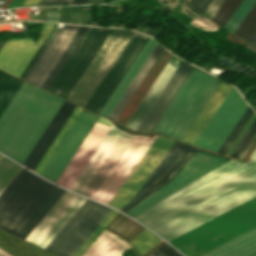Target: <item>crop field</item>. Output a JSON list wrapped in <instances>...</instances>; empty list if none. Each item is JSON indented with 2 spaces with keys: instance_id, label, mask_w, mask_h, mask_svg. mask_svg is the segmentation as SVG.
I'll return each instance as SVG.
<instances>
[{
  "instance_id": "obj_47",
  "label": "crop field",
  "mask_w": 256,
  "mask_h": 256,
  "mask_svg": "<svg viewBox=\"0 0 256 256\" xmlns=\"http://www.w3.org/2000/svg\"><path fill=\"white\" fill-rule=\"evenodd\" d=\"M4 43H5V41H0V49L3 46Z\"/></svg>"
},
{
  "instance_id": "obj_18",
  "label": "crop field",
  "mask_w": 256,
  "mask_h": 256,
  "mask_svg": "<svg viewBox=\"0 0 256 256\" xmlns=\"http://www.w3.org/2000/svg\"><path fill=\"white\" fill-rule=\"evenodd\" d=\"M76 105L65 100L55 117L52 119L34 148L31 150L25 161L23 162V166L31 169L35 168L73 109Z\"/></svg>"
},
{
  "instance_id": "obj_31",
  "label": "crop field",
  "mask_w": 256,
  "mask_h": 256,
  "mask_svg": "<svg viewBox=\"0 0 256 256\" xmlns=\"http://www.w3.org/2000/svg\"><path fill=\"white\" fill-rule=\"evenodd\" d=\"M160 241L162 240L159 237L155 236L146 229L130 244L138 251L141 256L149 249L154 247L156 244H158Z\"/></svg>"
},
{
  "instance_id": "obj_1",
  "label": "crop field",
  "mask_w": 256,
  "mask_h": 256,
  "mask_svg": "<svg viewBox=\"0 0 256 256\" xmlns=\"http://www.w3.org/2000/svg\"><path fill=\"white\" fill-rule=\"evenodd\" d=\"M256 196V151L248 163L137 219L167 241Z\"/></svg>"
},
{
  "instance_id": "obj_44",
  "label": "crop field",
  "mask_w": 256,
  "mask_h": 256,
  "mask_svg": "<svg viewBox=\"0 0 256 256\" xmlns=\"http://www.w3.org/2000/svg\"><path fill=\"white\" fill-rule=\"evenodd\" d=\"M0 256H10V255L0 249Z\"/></svg>"
},
{
  "instance_id": "obj_21",
  "label": "crop field",
  "mask_w": 256,
  "mask_h": 256,
  "mask_svg": "<svg viewBox=\"0 0 256 256\" xmlns=\"http://www.w3.org/2000/svg\"><path fill=\"white\" fill-rule=\"evenodd\" d=\"M245 163L239 162L237 160H230L228 162H226L225 164L221 165L220 167L214 169L213 171L207 173L206 175L202 176L201 178L195 180L194 182L190 183L189 185L183 187L182 189L176 191L175 193L171 194L170 196L164 198L163 200L159 201L158 203L154 204L153 206L149 207L148 209L142 211L141 213L137 214L136 216H134L133 218H138L242 165H244Z\"/></svg>"
},
{
  "instance_id": "obj_8",
  "label": "crop field",
  "mask_w": 256,
  "mask_h": 256,
  "mask_svg": "<svg viewBox=\"0 0 256 256\" xmlns=\"http://www.w3.org/2000/svg\"><path fill=\"white\" fill-rule=\"evenodd\" d=\"M110 31L111 29L89 27L48 91L66 98Z\"/></svg>"
},
{
  "instance_id": "obj_3",
  "label": "crop field",
  "mask_w": 256,
  "mask_h": 256,
  "mask_svg": "<svg viewBox=\"0 0 256 256\" xmlns=\"http://www.w3.org/2000/svg\"><path fill=\"white\" fill-rule=\"evenodd\" d=\"M63 102L23 81L0 116V151L22 164Z\"/></svg>"
},
{
  "instance_id": "obj_26",
  "label": "crop field",
  "mask_w": 256,
  "mask_h": 256,
  "mask_svg": "<svg viewBox=\"0 0 256 256\" xmlns=\"http://www.w3.org/2000/svg\"><path fill=\"white\" fill-rule=\"evenodd\" d=\"M22 83V80L0 71V115Z\"/></svg>"
},
{
  "instance_id": "obj_28",
  "label": "crop field",
  "mask_w": 256,
  "mask_h": 256,
  "mask_svg": "<svg viewBox=\"0 0 256 256\" xmlns=\"http://www.w3.org/2000/svg\"><path fill=\"white\" fill-rule=\"evenodd\" d=\"M198 150V148H195L191 146L189 150L181 157V159L174 165V167L156 184H154L152 187H150L144 194H142L139 198H137L133 203H131L126 209H124L122 212L128 211L130 208H132L134 205H136L138 202H140L142 199H144L146 196H148L150 193L158 189L160 186L165 184L172 175Z\"/></svg>"
},
{
  "instance_id": "obj_42",
  "label": "crop field",
  "mask_w": 256,
  "mask_h": 256,
  "mask_svg": "<svg viewBox=\"0 0 256 256\" xmlns=\"http://www.w3.org/2000/svg\"><path fill=\"white\" fill-rule=\"evenodd\" d=\"M85 0H41L39 5L43 4H84Z\"/></svg>"
},
{
  "instance_id": "obj_35",
  "label": "crop field",
  "mask_w": 256,
  "mask_h": 256,
  "mask_svg": "<svg viewBox=\"0 0 256 256\" xmlns=\"http://www.w3.org/2000/svg\"><path fill=\"white\" fill-rule=\"evenodd\" d=\"M252 110L250 107H248V109L246 110V112L244 113V115L242 116V118L240 119L238 124L236 125V127L233 129V131L231 132V134L229 135V137L227 138V140L225 141V143L219 150V153L225 155V153L227 152V150L229 149V147L231 146V144L237 137L238 133L240 132V130L242 129V127L244 126V124L246 123V121L248 120L250 115L252 114V112H253Z\"/></svg>"
},
{
  "instance_id": "obj_4",
  "label": "crop field",
  "mask_w": 256,
  "mask_h": 256,
  "mask_svg": "<svg viewBox=\"0 0 256 256\" xmlns=\"http://www.w3.org/2000/svg\"><path fill=\"white\" fill-rule=\"evenodd\" d=\"M219 81L194 67L152 132L180 141Z\"/></svg>"
},
{
  "instance_id": "obj_30",
  "label": "crop field",
  "mask_w": 256,
  "mask_h": 256,
  "mask_svg": "<svg viewBox=\"0 0 256 256\" xmlns=\"http://www.w3.org/2000/svg\"><path fill=\"white\" fill-rule=\"evenodd\" d=\"M22 167L2 157L0 160V194Z\"/></svg>"
},
{
  "instance_id": "obj_20",
  "label": "crop field",
  "mask_w": 256,
  "mask_h": 256,
  "mask_svg": "<svg viewBox=\"0 0 256 256\" xmlns=\"http://www.w3.org/2000/svg\"><path fill=\"white\" fill-rule=\"evenodd\" d=\"M156 43L157 42H155L153 39L149 37V39L143 46L142 50L140 51V53L138 54V56L136 57V59L134 60V62L126 72L125 76L123 77V79L121 80V82L119 83V85L117 86V88L115 89L111 97L109 98L106 105L104 104L105 105L104 108L102 107L103 108L102 111L100 110L101 111L100 115L108 118V116L110 115V113L112 112L116 104L118 103L119 99L121 98V96L129 86V84L131 83V81L133 80V78L135 77V75L143 65L144 61L146 60V58L148 57V55L156 45Z\"/></svg>"
},
{
  "instance_id": "obj_41",
  "label": "crop field",
  "mask_w": 256,
  "mask_h": 256,
  "mask_svg": "<svg viewBox=\"0 0 256 256\" xmlns=\"http://www.w3.org/2000/svg\"><path fill=\"white\" fill-rule=\"evenodd\" d=\"M192 7L204 14L213 0H189Z\"/></svg>"
},
{
  "instance_id": "obj_6",
  "label": "crop field",
  "mask_w": 256,
  "mask_h": 256,
  "mask_svg": "<svg viewBox=\"0 0 256 256\" xmlns=\"http://www.w3.org/2000/svg\"><path fill=\"white\" fill-rule=\"evenodd\" d=\"M133 31L112 29L66 99L84 107Z\"/></svg>"
},
{
  "instance_id": "obj_24",
  "label": "crop field",
  "mask_w": 256,
  "mask_h": 256,
  "mask_svg": "<svg viewBox=\"0 0 256 256\" xmlns=\"http://www.w3.org/2000/svg\"><path fill=\"white\" fill-rule=\"evenodd\" d=\"M163 48L164 47H162L160 44L156 45V47L154 48V50L152 51V53L150 54V56L148 57V59L146 60V62L144 63V65L142 66V68L140 69V71L138 72V74L136 75V77L126 90V92L124 93V95L122 96L121 100L109 116V119L115 121V119L117 118L125 104L128 102V100L130 99V97L132 96V94L134 93V91L136 90V88L138 87V85L140 84V82L150 69V67L153 65V63L155 62Z\"/></svg>"
},
{
  "instance_id": "obj_48",
  "label": "crop field",
  "mask_w": 256,
  "mask_h": 256,
  "mask_svg": "<svg viewBox=\"0 0 256 256\" xmlns=\"http://www.w3.org/2000/svg\"><path fill=\"white\" fill-rule=\"evenodd\" d=\"M0 157H1V154H0Z\"/></svg>"
},
{
  "instance_id": "obj_13",
  "label": "crop field",
  "mask_w": 256,
  "mask_h": 256,
  "mask_svg": "<svg viewBox=\"0 0 256 256\" xmlns=\"http://www.w3.org/2000/svg\"><path fill=\"white\" fill-rule=\"evenodd\" d=\"M85 200L84 197L66 191L26 240L45 248Z\"/></svg>"
},
{
  "instance_id": "obj_14",
  "label": "crop field",
  "mask_w": 256,
  "mask_h": 256,
  "mask_svg": "<svg viewBox=\"0 0 256 256\" xmlns=\"http://www.w3.org/2000/svg\"><path fill=\"white\" fill-rule=\"evenodd\" d=\"M52 23H43L38 42L32 38L8 40L0 50V69L19 77L47 33Z\"/></svg>"
},
{
  "instance_id": "obj_12",
  "label": "crop field",
  "mask_w": 256,
  "mask_h": 256,
  "mask_svg": "<svg viewBox=\"0 0 256 256\" xmlns=\"http://www.w3.org/2000/svg\"><path fill=\"white\" fill-rule=\"evenodd\" d=\"M148 39V36L134 32L110 70L107 72L85 108L99 113L123 75Z\"/></svg>"
},
{
  "instance_id": "obj_7",
  "label": "crop field",
  "mask_w": 256,
  "mask_h": 256,
  "mask_svg": "<svg viewBox=\"0 0 256 256\" xmlns=\"http://www.w3.org/2000/svg\"><path fill=\"white\" fill-rule=\"evenodd\" d=\"M110 211L87 199L45 249L59 256H73Z\"/></svg>"
},
{
  "instance_id": "obj_38",
  "label": "crop field",
  "mask_w": 256,
  "mask_h": 256,
  "mask_svg": "<svg viewBox=\"0 0 256 256\" xmlns=\"http://www.w3.org/2000/svg\"><path fill=\"white\" fill-rule=\"evenodd\" d=\"M255 130H256V119L252 124V126L250 127V129L248 130V132L246 133L241 143L239 144V146L237 147L236 151L234 150L235 151L234 154L232 153L233 154L232 158L237 159V157L239 156V154L241 153V151L243 150V148L245 147V145L247 144V142L249 141V139L251 138Z\"/></svg>"
},
{
  "instance_id": "obj_46",
  "label": "crop field",
  "mask_w": 256,
  "mask_h": 256,
  "mask_svg": "<svg viewBox=\"0 0 256 256\" xmlns=\"http://www.w3.org/2000/svg\"><path fill=\"white\" fill-rule=\"evenodd\" d=\"M40 0H35V2L32 4V6H37Z\"/></svg>"
},
{
  "instance_id": "obj_17",
  "label": "crop field",
  "mask_w": 256,
  "mask_h": 256,
  "mask_svg": "<svg viewBox=\"0 0 256 256\" xmlns=\"http://www.w3.org/2000/svg\"><path fill=\"white\" fill-rule=\"evenodd\" d=\"M79 28L80 26L65 25L35 71L28 79V82L40 87Z\"/></svg>"
},
{
  "instance_id": "obj_32",
  "label": "crop field",
  "mask_w": 256,
  "mask_h": 256,
  "mask_svg": "<svg viewBox=\"0 0 256 256\" xmlns=\"http://www.w3.org/2000/svg\"><path fill=\"white\" fill-rule=\"evenodd\" d=\"M256 0H243L239 5L235 13L232 15L228 23L225 25V28L235 32L241 22L244 20L246 15L249 13Z\"/></svg>"
},
{
  "instance_id": "obj_34",
  "label": "crop field",
  "mask_w": 256,
  "mask_h": 256,
  "mask_svg": "<svg viewBox=\"0 0 256 256\" xmlns=\"http://www.w3.org/2000/svg\"><path fill=\"white\" fill-rule=\"evenodd\" d=\"M241 1L242 0H226L212 20L224 27Z\"/></svg>"
},
{
  "instance_id": "obj_5",
  "label": "crop field",
  "mask_w": 256,
  "mask_h": 256,
  "mask_svg": "<svg viewBox=\"0 0 256 256\" xmlns=\"http://www.w3.org/2000/svg\"><path fill=\"white\" fill-rule=\"evenodd\" d=\"M55 185L21 169L0 195V226L16 234Z\"/></svg>"
},
{
  "instance_id": "obj_33",
  "label": "crop field",
  "mask_w": 256,
  "mask_h": 256,
  "mask_svg": "<svg viewBox=\"0 0 256 256\" xmlns=\"http://www.w3.org/2000/svg\"><path fill=\"white\" fill-rule=\"evenodd\" d=\"M242 23V22H241ZM240 26V25H239ZM235 33V32H234ZM256 33V4L247 15L235 34L249 41Z\"/></svg>"
},
{
  "instance_id": "obj_29",
  "label": "crop field",
  "mask_w": 256,
  "mask_h": 256,
  "mask_svg": "<svg viewBox=\"0 0 256 256\" xmlns=\"http://www.w3.org/2000/svg\"><path fill=\"white\" fill-rule=\"evenodd\" d=\"M80 110H81V107L76 106V108L74 109V111L72 112V114L70 115V117L68 118V120L66 121V123L64 124V126L62 127V129L60 130L56 138L54 139V141L52 142V144L50 145V147L48 148V150L46 151V153L44 154V156L42 157V159L34 169V172L39 174V172L41 171V169L49 159L50 155L52 154V152L54 151V149L56 148V146L58 145V143L60 142V140L62 139V137L64 136V134L66 133V131L68 130V128L70 127L71 123L73 122V120L75 119V117L77 116Z\"/></svg>"
},
{
  "instance_id": "obj_2",
  "label": "crop field",
  "mask_w": 256,
  "mask_h": 256,
  "mask_svg": "<svg viewBox=\"0 0 256 256\" xmlns=\"http://www.w3.org/2000/svg\"><path fill=\"white\" fill-rule=\"evenodd\" d=\"M156 138L157 135L153 137L134 136L93 196V199L111 206ZM176 144L177 141L158 136L112 204V207L122 211L141 195L147 189ZM189 147L190 145L178 142L150 186L155 183Z\"/></svg>"
},
{
  "instance_id": "obj_27",
  "label": "crop field",
  "mask_w": 256,
  "mask_h": 256,
  "mask_svg": "<svg viewBox=\"0 0 256 256\" xmlns=\"http://www.w3.org/2000/svg\"><path fill=\"white\" fill-rule=\"evenodd\" d=\"M87 29L88 27L81 26V28L79 29L73 40L70 42V44L68 45V47L66 48V50L54 66V68L52 69V71L49 73V75L41 85V88L47 90V88L49 87V85L51 84V82L53 81V79L55 78V76L57 75V73L67 60V58L70 56V54L72 53V51L74 50V48L76 47V45L78 44V42L80 41V39L82 38Z\"/></svg>"
},
{
  "instance_id": "obj_16",
  "label": "crop field",
  "mask_w": 256,
  "mask_h": 256,
  "mask_svg": "<svg viewBox=\"0 0 256 256\" xmlns=\"http://www.w3.org/2000/svg\"><path fill=\"white\" fill-rule=\"evenodd\" d=\"M107 131L108 128L104 126L97 123L94 125L77 153L57 181V184L70 189Z\"/></svg>"
},
{
  "instance_id": "obj_23",
  "label": "crop field",
  "mask_w": 256,
  "mask_h": 256,
  "mask_svg": "<svg viewBox=\"0 0 256 256\" xmlns=\"http://www.w3.org/2000/svg\"><path fill=\"white\" fill-rule=\"evenodd\" d=\"M130 246L119 236L104 229L83 256H122Z\"/></svg>"
},
{
  "instance_id": "obj_19",
  "label": "crop field",
  "mask_w": 256,
  "mask_h": 256,
  "mask_svg": "<svg viewBox=\"0 0 256 256\" xmlns=\"http://www.w3.org/2000/svg\"><path fill=\"white\" fill-rule=\"evenodd\" d=\"M231 89V86L223 83L220 81L202 110L199 112L183 138L181 142H185L188 144L194 145L210 119L212 118L213 114Z\"/></svg>"
},
{
  "instance_id": "obj_15",
  "label": "crop field",
  "mask_w": 256,
  "mask_h": 256,
  "mask_svg": "<svg viewBox=\"0 0 256 256\" xmlns=\"http://www.w3.org/2000/svg\"><path fill=\"white\" fill-rule=\"evenodd\" d=\"M193 67L194 66L182 60L136 130L151 131Z\"/></svg>"
},
{
  "instance_id": "obj_11",
  "label": "crop field",
  "mask_w": 256,
  "mask_h": 256,
  "mask_svg": "<svg viewBox=\"0 0 256 256\" xmlns=\"http://www.w3.org/2000/svg\"><path fill=\"white\" fill-rule=\"evenodd\" d=\"M246 108V103L232 88L195 146L218 152Z\"/></svg>"
},
{
  "instance_id": "obj_25",
  "label": "crop field",
  "mask_w": 256,
  "mask_h": 256,
  "mask_svg": "<svg viewBox=\"0 0 256 256\" xmlns=\"http://www.w3.org/2000/svg\"><path fill=\"white\" fill-rule=\"evenodd\" d=\"M65 190L55 187L39 208L33 213L23 227L18 231L16 236L25 239L27 235L33 230V228L39 223V221L45 216V214L51 209V207L57 202V200L63 195Z\"/></svg>"
},
{
  "instance_id": "obj_37",
  "label": "crop field",
  "mask_w": 256,
  "mask_h": 256,
  "mask_svg": "<svg viewBox=\"0 0 256 256\" xmlns=\"http://www.w3.org/2000/svg\"><path fill=\"white\" fill-rule=\"evenodd\" d=\"M61 31L60 28H57V30L55 31V33L53 34V36L51 37V39L49 40V42L47 43V45L45 46V48L43 49V51L41 52V54L38 56V58L36 59V61L34 62V64L32 65V67L30 68V70L28 71V73L26 74V76L24 77V80L27 81V79L29 78V76L31 75V73L33 72V70L36 68V66L38 65V63L40 62V60L42 59V57L44 56V54L46 53V51L48 50V48L50 47V45L52 44V42L55 40V38L57 37V35L59 34V32Z\"/></svg>"
},
{
  "instance_id": "obj_39",
  "label": "crop field",
  "mask_w": 256,
  "mask_h": 256,
  "mask_svg": "<svg viewBox=\"0 0 256 256\" xmlns=\"http://www.w3.org/2000/svg\"><path fill=\"white\" fill-rule=\"evenodd\" d=\"M59 25V24H56ZM54 25L52 27V29L50 30V32L48 33L47 37L45 38V40L43 41L42 45L40 46V48L38 49V51L36 52V54L33 56V58L31 59V61L29 62V64L27 65V67L25 68V70L22 72V74L20 75V78L23 79V77L25 76V74L27 73V71L29 70V68L31 67V65L33 64V62L35 61V59L37 58V56L39 55V53L41 52V50L43 49V47L45 46V44L47 43V41L49 40V38L51 37V35L53 34V32L55 31V29L57 28V26Z\"/></svg>"
},
{
  "instance_id": "obj_22",
  "label": "crop field",
  "mask_w": 256,
  "mask_h": 256,
  "mask_svg": "<svg viewBox=\"0 0 256 256\" xmlns=\"http://www.w3.org/2000/svg\"><path fill=\"white\" fill-rule=\"evenodd\" d=\"M202 256H256V228Z\"/></svg>"
},
{
  "instance_id": "obj_43",
  "label": "crop field",
  "mask_w": 256,
  "mask_h": 256,
  "mask_svg": "<svg viewBox=\"0 0 256 256\" xmlns=\"http://www.w3.org/2000/svg\"><path fill=\"white\" fill-rule=\"evenodd\" d=\"M33 2L34 0H26L25 3L22 5V7L31 6Z\"/></svg>"
},
{
  "instance_id": "obj_40",
  "label": "crop field",
  "mask_w": 256,
  "mask_h": 256,
  "mask_svg": "<svg viewBox=\"0 0 256 256\" xmlns=\"http://www.w3.org/2000/svg\"><path fill=\"white\" fill-rule=\"evenodd\" d=\"M150 256H181V255L165 243Z\"/></svg>"
},
{
  "instance_id": "obj_36",
  "label": "crop field",
  "mask_w": 256,
  "mask_h": 256,
  "mask_svg": "<svg viewBox=\"0 0 256 256\" xmlns=\"http://www.w3.org/2000/svg\"><path fill=\"white\" fill-rule=\"evenodd\" d=\"M109 214V213H108ZM117 214L115 211H111L110 214L105 218V220L100 224V226L94 231V233L89 237V239L83 244V246L78 250V252L74 256H81L85 250L90 246V244L94 241V239L99 235V233L105 228V226L114 218Z\"/></svg>"
},
{
  "instance_id": "obj_45",
  "label": "crop field",
  "mask_w": 256,
  "mask_h": 256,
  "mask_svg": "<svg viewBox=\"0 0 256 256\" xmlns=\"http://www.w3.org/2000/svg\"><path fill=\"white\" fill-rule=\"evenodd\" d=\"M250 43H252V44L256 45V35L253 37V39L251 40V42H250Z\"/></svg>"
},
{
  "instance_id": "obj_10",
  "label": "crop field",
  "mask_w": 256,
  "mask_h": 256,
  "mask_svg": "<svg viewBox=\"0 0 256 256\" xmlns=\"http://www.w3.org/2000/svg\"><path fill=\"white\" fill-rule=\"evenodd\" d=\"M98 118L83 108L39 175L56 183Z\"/></svg>"
},
{
  "instance_id": "obj_9",
  "label": "crop field",
  "mask_w": 256,
  "mask_h": 256,
  "mask_svg": "<svg viewBox=\"0 0 256 256\" xmlns=\"http://www.w3.org/2000/svg\"><path fill=\"white\" fill-rule=\"evenodd\" d=\"M230 159L199 149L169 183L152 193L125 214L132 217Z\"/></svg>"
}]
</instances>
